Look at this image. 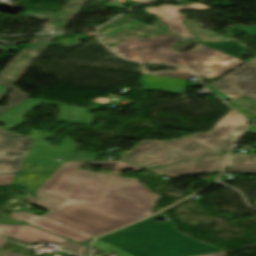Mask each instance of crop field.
<instances>
[{"mask_svg":"<svg viewBox=\"0 0 256 256\" xmlns=\"http://www.w3.org/2000/svg\"><path fill=\"white\" fill-rule=\"evenodd\" d=\"M143 73L158 75V76H166V77L184 78V79H188L189 76H195L190 71L181 69V68L178 69V72L158 71L156 73H148V72H143Z\"/></svg>","mask_w":256,"mask_h":256,"instance_id":"crop-field-21","label":"crop field"},{"mask_svg":"<svg viewBox=\"0 0 256 256\" xmlns=\"http://www.w3.org/2000/svg\"><path fill=\"white\" fill-rule=\"evenodd\" d=\"M40 216L92 237L151 214L157 196L137 179L60 167L35 193Z\"/></svg>","mask_w":256,"mask_h":256,"instance_id":"crop-field-1","label":"crop field"},{"mask_svg":"<svg viewBox=\"0 0 256 256\" xmlns=\"http://www.w3.org/2000/svg\"><path fill=\"white\" fill-rule=\"evenodd\" d=\"M179 56L181 65L190 67L200 76L209 79L219 77L242 63L238 59L201 45H197L194 50L179 54ZM215 59L219 61L216 62Z\"/></svg>","mask_w":256,"mask_h":256,"instance_id":"crop-field-6","label":"crop field"},{"mask_svg":"<svg viewBox=\"0 0 256 256\" xmlns=\"http://www.w3.org/2000/svg\"><path fill=\"white\" fill-rule=\"evenodd\" d=\"M11 238L24 243L51 242L60 245L65 250L80 256H87L89 248L43 232L30 226L18 225Z\"/></svg>","mask_w":256,"mask_h":256,"instance_id":"crop-field-8","label":"crop field"},{"mask_svg":"<svg viewBox=\"0 0 256 256\" xmlns=\"http://www.w3.org/2000/svg\"><path fill=\"white\" fill-rule=\"evenodd\" d=\"M88 164L90 165H104V164H117V167H116V171H115V174H119L120 170L125 168V167H128L134 171H140L142 169L140 168H137V167H134L132 165H129V164H126L124 162H121V161H110V162H87ZM85 164V163H71V162H63V166H68V167H73V168H78L80 169L81 166Z\"/></svg>","mask_w":256,"mask_h":256,"instance_id":"crop-field-18","label":"crop field"},{"mask_svg":"<svg viewBox=\"0 0 256 256\" xmlns=\"http://www.w3.org/2000/svg\"><path fill=\"white\" fill-rule=\"evenodd\" d=\"M203 45L214 50L220 51L222 53L228 54L230 56L236 57L238 59L247 56V53L244 51V49L237 43ZM235 53H237V55Z\"/></svg>","mask_w":256,"mask_h":256,"instance_id":"crop-field-17","label":"crop field"},{"mask_svg":"<svg viewBox=\"0 0 256 256\" xmlns=\"http://www.w3.org/2000/svg\"><path fill=\"white\" fill-rule=\"evenodd\" d=\"M226 166L231 172L256 174V154H229Z\"/></svg>","mask_w":256,"mask_h":256,"instance_id":"crop-field-12","label":"crop field"},{"mask_svg":"<svg viewBox=\"0 0 256 256\" xmlns=\"http://www.w3.org/2000/svg\"><path fill=\"white\" fill-rule=\"evenodd\" d=\"M242 121L244 120L237 113L232 111L227 114L223 119H221L219 123L215 126V129L210 132L235 141L238 136L230 133L233 132L234 127Z\"/></svg>","mask_w":256,"mask_h":256,"instance_id":"crop-field-13","label":"crop field"},{"mask_svg":"<svg viewBox=\"0 0 256 256\" xmlns=\"http://www.w3.org/2000/svg\"><path fill=\"white\" fill-rule=\"evenodd\" d=\"M207 88H208L210 91H212V92L218 94L219 96H221V97L224 98V99L228 98V97L224 96L223 94L219 93L218 91L214 90L213 88H211V87H209V86H207Z\"/></svg>","mask_w":256,"mask_h":256,"instance_id":"crop-field-30","label":"crop field"},{"mask_svg":"<svg viewBox=\"0 0 256 256\" xmlns=\"http://www.w3.org/2000/svg\"><path fill=\"white\" fill-rule=\"evenodd\" d=\"M177 40L186 39L167 33L157 37L130 39L112 48L127 58L180 65L178 54L170 51L172 43Z\"/></svg>","mask_w":256,"mask_h":256,"instance_id":"crop-field-4","label":"crop field"},{"mask_svg":"<svg viewBox=\"0 0 256 256\" xmlns=\"http://www.w3.org/2000/svg\"><path fill=\"white\" fill-rule=\"evenodd\" d=\"M179 9H208V7L199 3H193L187 6H159L158 8H144L149 14L158 15L160 24H166L169 32L183 36L187 39L195 37L187 32L183 23L185 22L184 15L177 12Z\"/></svg>","mask_w":256,"mask_h":256,"instance_id":"crop-field-9","label":"crop field"},{"mask_svg":"<svg viewBox=\"0 0 256 256\" xmlns=\"http://www.w3.org/2000/svg\"><path fill=\"white\" fill-rule=\"evenodd\" d=\"M234 27L243 31V32H246V33H249V34H252V35L256 36V27H243L239 24L235 25Z\"/></svg>","mask_w":256,"mask_h":256,"instance_id":"crop-field-25","label":"crop field"},{"mask_svg":"<svg viewBox=\"0 0 256 256\" xmlns=\"http://www.w3.org/2000/svg\"><path fill=\"white\" fill-rule=\"evenodd\" d=\"M0 85L13 90V92L8 95L9 96L8 106L7 107H0V112H4V111L8 110L9 108L23 102L24 100H26L30 97V96L22 93L20 90H18L12 84H10L7 80L0 79Z\"/></svg>","mask_w":256,"mask_h":256,"instance_id":"crop-field-16","label":"crop field"},{"mask_svg":"<svg viewBox=\"0 0 256 256\" xmlns=\"http://www.w3.org/2000/svg\"><path fill=\"white\" fill-rule=\"evenodd\" d=\"M229 76L242 95L256 100V58Z\"/></svg>","mask_w":256,"mask_h":256,"instance_id":"crop-field-11","label":"crop field"},{"mask_svg":"<svg viewBox=\"0 0 256 256\" xmlns=\"http://www.w3.org/2000/svg\"><path fill=\"white\" fill-rule=\"evenodd\" d=\"M139 24H142L140 22H131V23H127V24H124V25H121V26H117V27H114V28H111L101 34L103 35H108V36H112L116 33H118L119 31L123 30V29H126V28H130V27H133V26H136V25H139Z\"/></svg>","mask_w":256,"mask_h":256,"instance_id":"crop-field-24","label":"crop field"},{"mask_svg":"<svg viewBox=\"0 0 256 256\" xmlns=\"http://www.w3.org/2000/svg\"><path fill=\"white\" fill-rule=\"evenodd\" d=\"M200 256H226V252L206 254V255H200Z\"/></svg>","mask_w":256,"mask_h":256,"instance_id":"crop-field-28","label":"crop field"},{"mask_svg":"<svg viewBox=\"0 0 256 256\" xmlns=\"http://www.w3.org/2000/svg\"><path fill=\"white\" fill-rule=\"evenodd\" d=\"M66 13H68V12L63 11V12L56 13V14H44V13H39V12H34V11H28L25 13V15H28V16H31V17H34L37 19H51V18L58 17L60 15L66 14Z\"/></svg>","mask_w":256,"mask_h":256,"instance_id":"crop-field-23","label":"crop field"},{"mask_svg":"<svg viewBox=\"0 0 256 256\" xmlns=\"http://www.w3.org/2000/svg\"><path fill=\"white\" fill-rule=\"evenodd\" d=\"M52 173L16 174L12 184L38 191Z\"/></svg>","mask_w":256,"mask_h":256,"instance_id":"crop-field-14","label":"crop field"},{"mask_svg":"<svg viewBox=\"0 0 256 256\" xmlns=\"http://www.w3.org/2000/svg\"><path fill=\"white\" fill-rule=\"evenodd\" d=\"M142 186H143V185H142ZM143 187H145V186H143ZM145 188L148 190L147 187H145ZM148 191H149V190H148ZM159 198H160V196H158L157 200H158ZM157 200H156V201H157ZM156 201H155V202H156ZM155 202H154V204H155ZM154 204H153V205H154ZM153 205L151 206V210H152V208H153Z\"/></svg>","mask_w":256,"mask_h":256,"instance_id":"crop-field-32","label":"crop field"},{"mask_svg":"<svg viewBox=\"0 0 256 256\" xmlns=\"http://www.w3.org/2000/svg\"><path fill=\"white\" fill-rule=\"evenodd\" d=\"M134 1H136V2H138V3H142V2L152 1V0H134Z\"/></svg>","mask_w":256,"mask_h":256,"instance_id":"crop-field-31","label":"crop field"},{"mask_svg":"<svg viewBox=\"0 0 256 256\" xmlns=\"http://www.w3.org/2000/svg\"><path fill=\"white\" fill-rule=\"evenodd\" d=\"M9 215L14 217V218L25 221V222H27L31 225L37 226L39 228H42V229H45L47 231H50V232H53L55 234L66 237L68 239L74 240L78 243L91 238V237L86 236L84 234L78 233V232L73 231L71 229H68L66 227L60 226L58 224H55L53 222L41 219L39 217L30 215V214H22V213L16 212V213L9 214Z\"/></svg>","mask_w":256,"mask_h":256,"instance_id":"crop-field-10","label":"crop field"},{"mask_svg":"<svg viewBox=\"0 0 256 256\" xmlns=\"http://www.w3.org/2000/svg\"><path fill=\"white\" fill-rule=\"evenodd\" d=\"M245 125H246V123H245V121H244V122H242L241 124H239L238 126H236V127H235V132H234L233 134L240 135L241 132L244 130Z\"/></svg>","mask_w":256,"mask_h":256,"instance_id":"crop-field-27","label":"crop field"},{"mask_svg":"<svg viewBox=\"0 0 256 256\" xmlns=\"http://www.w3.org/2000/svg\"><path fill=\"white\" fill-rule=\"evenodd\" d=\"M33 140L23 135H11L0 131V174L18 170Z\"/></svg>","mask_w":256,"mask_h":256,"instance_id":"crop-field-7","label":"crop field"},{"mask_svg":"<svg viewBox=\"0 0 256 256\" xmlns=\"http://www.w3.org/2000/svg\"><path fill=\"white\" fill-rule=\"evenodd\" d=\"M209 86L213 87L214 89L218 90L219 92L230 98L237 95V92L227 75L222 78L221 82H216Z\"/></svg>","mask_w":256,"mask_h":256,"instance_id":"crop-field-19","label":"crop field"},{"mask_svg":"<svg viewBox=\"0 0 256 256\" xmlns=\"http://www.w3.org/2000/svg\"><path fill=\"white\" fill-rule=\"evenodd\" d=\"M17 225L0 224V248H3L7 239L10 237L12 232L15 230ZM1 256H23L11 252L4 251Z\"/></svg>","mask_w":256,"mask_h":256,"instance_id":"crop-field-20","label":"crop field"},{"mask_svg":"<svg viewBox=\"0 0 256 256\" xmlns=\"http://www.w3.org/2000/svg\"><path fill=\"white\" fill-rule=\"evenodd\" d=\"M54 44H60L63 46H73V45H79V40L77 38H67V39H60L54 43H48V44H28V45H20L19 48H29L34 46H43V45H54Z\"/></svg>","mask_w":256,"mask_h":256,"instance_id":"crop-field-22","label":"crop field"},{"mask_svg":"<svg viewBox=\"0 0 256 256\" xmlns=\"http://www.w3.org/2000/svg\"><path fill=\"white\" fill-rule=\"evenodd\" d=\"M55 135L32 130L28 136L35 140L18 172H54L71 153L76 152L78 146L74 145L73 140L68 137L60 148L44 143L47 137H54ZM56 159L62 161H55Z\"/></svg>","mask_w":256,"mask_h":256,"instance_id":"crop-field-5","label":"crop field"},{"mask_svg":"<svg viewBox=\"0 0 256 256\" xmlns=\"http://www.w3.org/2000/svg\"><path fill=\"white\" fill-rule=\"evenodd\" d=\"M14 174L0 175V185H9Z\"/></svg>","mask_w":256,"mask_h":256,"instance_id":"crop-field-26","label":"crop field"},{"mask_svg":"<svg viewBox=\"0 0 256 256\" xmlns=\"http://www.w3.org/2000/svg\"><path fill=\"white\" fill-rule=\"evenodd\" d=\"M161 217L165 215L158 214L100 239L136 256H193L222 251L183 235L170 222H153Z\"/></svg>","mask_w":256,"mask_h":256,"instance_id":"crop-field-3","label":"crop field"},{"mask_svg":"<svg viewBox=\"0 0 256 256\" xmlns=\"http://www.w3.org/2000/svg\"><path fill=\"white\" fill-rule=\"evenodd\" d=\"M215 153L218 152L190 137H185L168 142L144 140L122 158L141 168H148L165 166L178 160L195 159ZM218 154L150 170L165 176L220 172L226 155Z\"/></svg>","mask_w":256,"mask_h":256,"instance_id":"crop-field-2","label":"crop field"},{"mask_svg":"<svg viewBox=\"0 0 256 256\" xmlns=\"http://www.w3.org/2000/svg\"><path fill=\"white\" fill-rule=\"evenodd\" d=\"M0 222H9V223H22V221H15V220H10V219H0Z\"/></svg>","mask_w":256,"mask_h":256,"instance_id":"crop-field-29","label":"crop field"},{"mask_svg":"<svg viewBox=\"0 0 256 256\" xmlns=\"http://www.w3.org/2000/svg\"><path fill=\"white\" fill-rule=\"evenodd\" d=\"M191 137L220 153L228 151L233 143L232 141L213 135L211 133L195 134Z\"/></svg>","mask_w":256,"mask_h":256,"instance_id":"crop-field-15","label":"crop field"}]
</instances>
